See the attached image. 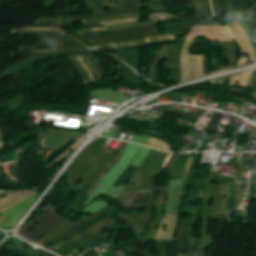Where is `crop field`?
Returning <instances> with one entry per match:
<instances>
[{
	"label": "crop field",
	"instance_id": "62",
	"mask_svg": "<svg viewBox=\"0 0 256 256\" xmlns=\"http://www.w3.org/2000/svg\"><path fill=\"white\" fill-rule=\"evenodd\" d=\"M117 5L125 4L124 0H116Z\"/></svg>",
	"mask_w": 256,
	"mask_h": 256
},
{
	"label": "crop field",
	"instance_id": "31",
	"mask_svg": "<svg viewBox=\"0 0 256 256\" xmlns=\"http://www.w3.org/2000/svg\"><path fill=\"white\" fill-rule=\"evenodd\" d=\"M166 256H177V245L174 240L165 243Z\"/></svg>",
	"mask_w": 256,
	"mask_h": 256
},
{
	"label": "crop field",
	"instance_id": "43",
	"mask_svg": "<svg viewBox=\"0 0 256 256\" xmlns=\"http://www.w3.org/2000/svg\"><path fill=\"white\" fill-rule=\"evenodd\" d=\"M91 59H93L96 67L99 69V71L101 72L102 76L106 75L105 70L103 69L101 63L98 61V59L95 57V55H90Z\"/></svg>",
	"mask_w": 256,
	"mask_h": 256
},
{
	"label": "crop field",
	"instance_id": "18",
	"mask_svg": "<svg viewBox=\"0 0 256 256\" xmlns=\"http://www.w3.org/2000/svg\"><path fill=\"white\" fill-rule=\"evenodd\" d=\"M160 109H168V110H172V111H175V112L184 113V114H188V115H192V116L199 117L198 115H193V114H189V113H186V112L177 111V110H174V109H172V108H167V105H157V106H153L150 110H152V111H157V112L169 113V114H172V115H178V116H180V117L187 118V119H191V120H195V121H197V119H198V118H193V117H189V116H186V115H181V114H177V113H172V112L163 111V110H160Z\"/></svg>",
	"mask_w": 256,
	"mask_h": 256
},
{
	"label": "crop field",
	"instance_id": "42",
	"mask_svg": "<svg viewBox=\"0 0 256 256\" xmlns=\"http://www.w3.org/2000/svg\"><path fill=\"white\" fill-rule=\"evenodd\" d=\"M137 20H138V18H136V19H129V20H114V21L102 22V24H104L106 26H110V25L120 24V23L135 22Z\"/></svg>",
	"mask_w": 256,
	"mask_h": 256
},
{
	"label": "crop field",
	"instance_id": "49",
	"mask_svg": "<svg viewBox=\"0 0 256 256\" xmlns=\"http://www.w3.org/2000/svg\"><path fill=\"white\" fill-rule=\"evenodd\" d=\"M108 27L98 28V29H89V30H79L80 33L92 32V31H109Z\"/></svg>",
	"mask_w": 256,
	"mask_h": 256
},
{
	"label": "crop field",
	"instance_id": "54",
	"mask_svg": "<svg viewBox=\"0 0 256 256\" xmlns=\"http://www.w3.org/2000/svg\"><path fill=\"white\" fill-rule=\"evenodd\" d=\"M191 158H192V154H190V156H189V160H188V163L186 165V172H185V176H184V180L183 181H186V179H187V171H188V168L190 166Z\"/></svg>",
	"mask_w": 256,
	"mask_h": 256
},
{
	"label": "crop field",
	"instance_id": "36",
	"mask_svg": "<svg viewBox=\"0 0 256 256\" xmlns=\"http://www.w3.org/2000/svg\"><path fill=\"white\" fill-rule=\"evenodd\" d=\"M151 4H163V3H162V1H155V2H149V3L143 4V5H124V6L112 7V8H109V9L111 11H114V10H119V9L143 7V6H147V5H151Z\"/></svg>",
	"mask_w": 256,
	"mask_h": 256
},
{
	"label": "crop field",
	"instance_id": "46",
	"mask_svg": "<svg viewBox=\"0 0 256 256\" xmlns=\"http://www.w3.org/2000/svg\"><path fill=\"white\" fill-rule=\"evenodd\" d=\"M155 58H156L155 50H154V48H151V62H150V67H149V72H148L147 78H148L149 75H150V71H151V68H152V65H153V62H154ZM155 61H156V60H155ZM154 63H155V62H154Z\"/></svg>",
	"mask_w": 256,
	"mask_h": 256
},
{
	"label": "crop field",
	"instance_id": "13",
	"mask_svg": "<svg viewBox=\"0 0 256 256\" xmlns=\"http://www.w3.org/2000/svg\"><path fill=\"white\" fill-rule=\"evenodd\" d=\"M140 12V8L137 9H127V10H119L94 16H78V17H72L73 21L76 20H82V19H95V18H101V17H107V16H115V15H124V14H131V13H137Z\"/></svg>",
	"mask_w": 256,
	"mask_h": 256
},
{
	"label": "crop field",
	"instance_id": "29",
	"mask_svg": "<svg viewBox=\"0 0 256 256\" xmlns=\"http://www.w3.org/2000/svg\"><path fill=\"white\" fill-rule=\"evenodd\" d=\"M100 211H101V210H100ZM100 211H98L97 213H95V214L92 215V216L87 217V218L84 219L83 221H81V222H79V223H77V224H75V225L69 227L68 229H66L65 231H63L62 233H60L59 235H57L56 237H54V238H52L51 240H49V241H47L46 243H44L42 246H44V247L47 246L48 244H50V243L53 242L54 240L60 238L61 236H63V235L66 234L67 232H69V231H71L72 229H74L76 226H78V225L84 223L85 221L89 220L90 218L96 216L97 214L102 213V212H100Z\"/></svg>",
	"mask_w": 256,
	"mask_h": 256
},
{
	"label": "crop field",
	"instance_id": "10",
	"mask_svg": "<svg viewBox=\"0 0 256 256\" xmlns=\"http://www.w3.org/2000/svg\"><path fill=\"white\" fill-rule=\"evenodd\" d=\"M173 37H171L169 34L166 35H160V36H155V37H149V38H145L143 40H139V41H135V42H125V43H119L120 46H132V45H137V44H141V43H148V42H153V41H157V40H164V39H171ZM113 47H119L118 44H107V45H100V46H91V49H107V48H113Z\"/></svg>",
	"mask_w": 256,
	"mask_h": 256
},
{
	"label": "crop field",
	"instance_id": "16",
	"mask_svg": "<svg viewBox=\"0 0 256 256\" xmlns=\"http://www.w3.org/2000/svg\"><path fill=\"white\" fill-rule=\"evenodd\" d=\"M66 219H64L62 216L60 218H58L56 221H54L53 223L49 224L48 226L44 227L43 229H41L39 232H37L35 235H33L32 237L28 238L32 241H37L38 239H40L42 236H44L46 233H48L49 231H51L53 228H55L56 226H58L59 224H61L62 222H64Z\"/></svg>",
	"mask_w": 256,
	"mask_h": 256
},
{
	"label": "crop field",
	"instance_id": "17",
	"mask_svg": "<svg viewBox=\"0 0 256 256\" xmlns=\"http://www.w3.org/2000/svg\"><path fill=\"white\" fill-rule=\"evenodd\" d=\"M136 170L137 167L129 165L126 171L120 175V177L116 180L113 186H119L121 182L127 185Z\"/></svg>",
	"mask_w": 256,
	"mask_h": 256
},
{
	"label": "crop field",
	"instance_id": "39",
	"mask_svg": "<svg viewBox=\"0 0 256 256\" xmlns=\"http://www.w3.org/2000/svg\"><path fill=\"white\" fill-rule=\"evenodd\" d=\"M16 31H61L59 28H20L14 29L12 32Z\"/></svg>",
	"mask_w": 256,
	"mask_h": 256
},
{
	"label": "crop field",
	"instance_id": "15",
	"mask_svg": "<svg viewBox=\"0 0 256 256\" xmlns=\"http://www.w3.org/2000/svg\"><path fill=\"white\" fill-rule=\"evenodd\" d=\"M150 192L151 191H147V192H138L135 199L133 200V202L131 203L130 207L128 208V210H133V209H144L149 196H150Z\"/></svg>",
	"mask_w": 256,
	"mask_h": 256
},
{
	"label": "crop field",
	"instance_id": "35",
	"mask_svg": "<svg viewBox=\"0 0 256 256\" xmlns=\"http://www.w3.org/2000/svg\"><path fill=\"white\" fill-rule=\"evenodd\" d=\"M83 138L81 139H78L76 140L60 157H58L54 162H52L46 169H50L52 166H54L59 160H61L63 157H65L67 154H69L73 148L82 140Z\"/></svg>",
	"mask_w": 256,
	"mask_h": 256
},
{
	"label": "crop field",
	"instance_id": "38",
	"mask_svg": "<svg viewBox=\"0 0 256 256\" xmlns=\"http://www.w3.org/2000/svg\"><path fill=\"white\" fill-rule=\"evenodd\" d=\"M76 59L79 62V64L82 66L84 71L87 73V75L89 76L91 81L94 82L95 78H94L93 74L91 73V71L89 70L88 66L86 65L85 61L83 60L82 56L76 57Z\"/></svg>",
	"mask_w": 256,
	"mask_h": 256
},
{
	"label": "crop field",
	"instance_id": "5",
	"mask_svg": "<svg viewBox=\"0 0 256 256\" xmlns=\"http://www.w3.org/2000/svg\"><path fill=\"white\" fill-rule=\"evenodd\" d=\"M122 219H125L128 225L135 232V237L140 239V234L142 230V225L148 217V210L144 213L138 214H123L119 213ZM144 226V225H143Z\"/></svg>",
	"mask_w": 256,
	"mask_h": 256
},
{
	"label": "crop field",
	"instance_id": "21",
	"mask_svg": "<svg viewBox=\"0 0 256 256\" xmlns=\"http://www.w3.org/2000/svg\"><path fill=\"white\" fill-rule=\"evenodd\" d=\"M217 46L223 47L224 54H237L239 49L234 41L216 42Z\"/></svg>",
	"mask_w": 256,
	"mask_h": 256
},
{
	"label": "crop field",
	"instance_id": "48",
	"mask_svg": "<svg viewBox=\"0 0 256 256\" xmlns=\"http://www.w3.org/2000/svg\"><path fill=\"white\" fill-rule=\"evenodd\" d=\"M242 17H243V19L245 20V22L247 23V25L249 26V28L251 29L254 38H256V31H255V29L253 28L252 24H251L250 21L247 19V17L245 16V14H244Z\"/></svg>",
	"mask_w": 256,
	"mask_h": 256
},
{
	"label": "crop field",
	"instance_id": "69",
	"mask_svg": "<svg viewBox=\"0 0 256 256\" xmlns=\"http://www.w3.org/2000/svg\"><path fill=\"white\" fill-rule=\"evenodd\" d=\"M136 3H138V0H135Z\"/></svg>",
	"mask_w": 256,
	"mask_h": 256
},
{
	"label": "crop field",
	"instance_id": "8",
	"mask_svg": "<svg viewBox=\"0 0 256 256\" xmlns=\"http://www.w3.org/2000/svg\"><path fill=\"white\" fill-rule=\"evenodd\" d=\"M35 191L26 193H11L0 199V214L17 205L27 197L34 194Z\"/></svg>",
	"mask_w": 256,
	"mask_h": 256
},
{
	"label": "crop field",
	"instance_id": "47",
	"mask_svg": "<svg viewBox=\"0 0 256 256\" xmlns=\"http://www.w3.org/2000/svg\"><path fill=\"white\" fill-rule=\"evenodd\" d=\"M59 23L54 24H34L33 26H26V27H58Z\"/></svg>",
	"mask_w": 256,
	"mask_h": 256
},
{
	"label": "crop field",
	"instance_id": "51",
	"mask_svg": "<svg viewBox=\"0 0 256 256\" xmlns=\"http://www.w3.org/2000/svg\"><path fill=\"white\" fill-rule=\"evenodd\" d=\"M177 156V154H173V156L171 157V159L169 160V162L167 163L165 169L167 170V175H169V169L175 159V157Z\"/></svg>",
	"mask_w": 256,
	"mask_h": 256
},
{
	"label": "crop field",
	"instance_id": "64",
	"mask_svg": "<svg viewBox=\"0 0 256 256\" xmlns=\"http://www.w3.org/2000/svg\"><path fill=\"white\" fill-rule=\"evenodd\" d=\"M101 5H102V8L106 7L105 0H101Z\"/></svg>",
	"mask_w": 256,
	"mask_h": 256
},
{
	"label": "crop field",
	"instance_id": "58",
	"mask_svg": "<svg viewBox=\"0 0 256 256\" xmlns=\"http://www.w3.org/2000/svg\"><path fill=\"white\" fill-rule=\"evenodd\" d=\"M243 1H244V5H245L246 10L249 9L250 7H252V5L250 3V0H243Z\"/></svg>",
	"mask_w": 256,
	"mask_h": 256
},
{
	"label": "crop field",
	"instance_id": "40",
	"mask_svg": "<svg viewBox=\"0 0 256 256\" xmlns=\"http://www.w3.org/2000/svg\"><path fill=\"white\" fill-rule=\"evenodd\" d=\"M22 35H65L63 32H23Z\"/></svg>",
	"mask_w": 256,
	"mask_h": 256
},
{
	"label": "crop field",
	"instance_id": "52",
	"mask_svg": "<svg viewBox=\"0 0 256 256\" xmlns=\"http://www.w3.org/2000/svg\"><path fill=\"white\" fill-rule=\"evenodd\" d=\"M189 247L193 246L192 227L188 228Z\"/></svg>",
	"mask_w": 256,
	"mask_h": 256
},
{
	"label": "crop field",
	"instance_id": "70",
	"mask_svg": "<svg viewBox=\"0 0 256 256\" xmlns=\"http://www.w3.org/2000/svg\"><path fill=\"white\" fill-rule=\"evenodd\" d=\"M254 74H256V70H255Z\"/></svg>",
	"mask_w": 256,
	"mask_h": 256
},
{
	"label": "crop field",
	"instance_id": "60",
	"mask_svg": "<svg viewBox=\"0 0 256 256\" xmlns=\"http://www.w3.org/2000/svg\"><path fill=\"white\" fill-rule=\"evenodd\" d=\"M111 3H112V6H113V5H116V4H115V0H111ZM106 4H107V7L111 6L110 0H106Z\"/></svg>",
	"mask_w": 256,
	"mask_h": 256
},
{
	"label": "crop field",
	"instance_id": "66",
	"mask_svg": "<svg viewBox=\"0 0 256 256\" xmlns=\"http://www.w3.org/2000/svg\"><path fill=\"white\" fill-rule=\"evenodd\" d=\"M252 12L254 13L255 17H256V10L254 8L251 9Z\"/></svg>",
	"mask_w": 256,
	"mask_h": 256
},
{
	"label": "crop field",
	"instance_id": "50",
	"mask_svg": "<svg viewBox=\"0 0 256 256\" xmlns=\"http://www.w3.org/2000/svg\"><path fill=\"white\" fill-rule=\"evenodd\" d=\"M218 193H219V200H220V203H221V202H224L225 199H224V194H223V185H219V187H218Z\"/></svg>",
	"mask_w": 256,
	"mask_h": 256
},
{
	"label": "crop field",
	"instance_id": "53",
	"mask_svg": "<svg viewBox=\"0 0 256 256\" xmlns=\"http://www.w3.org/2000/svg\"><path fill=\"white\" fill-rule=\"evenodd\" d=\"M169 14H150L149 18L169 17Z\"/></svg>",
	"mask_w": 256,
	"mask_h": 256
},
{
	"label": "crop field",
	"instance_id": "59",
	"mask_svg": "<svg viewBox=\"0 0 256 256\" xmlns=\"http://www.w3.org/2000/svg\"><path fill=\"white\" fill-rule=\"evenodd\" d=\"M251 87H256V75L253 76V78H252V81H251V84H250V88Z\"/></svg>",
	"mask_w": 256,
	"mask_h": 256
},
{
	"label": "crop field",
	"instance_id": "20",
	"mask_svg": "<svg viewBox=\"0 0 256 256\" xmlns=\"http://www.w3.org/2000/svg\"><path fill=\"white\" fill-rule=\"evenodd\" d=\"M128 145V143H126V145L124 146L123 150L121 151L119 157L117 158V160L97 179V181L93 184L91 190L88 192V194L86 195L84 201L75 209L76 211L79 209L80 206H82L84 204V202L88 199V197L91 195V193L93 192V190L96 188V186L100 183V181L104 178V176L109 172V170L114 166V164L120 159L124 149L126 148V146Z\"/></svg>",
	"mask_w": 256,
	"mask_h": 256
},
{
	"label": "crop field",
	"instance_id": "65",
	"mask_svg": "<svg viewBox=\"0 0 256 256\" xmlns=\"http://www.w3.org/2000/svg\"><path fill=\"white\" fill-rule=\"evenodd\" d=\"M126 3L129 4V3H134V0H126Z\"/></svg>",
	"mask_w": 256,
	"mask_h": 256
},
{
	"label": "crop field",
	"instance_id": "2",
	"mask_svg": "<svg viewBox=\"0 0 256 256\" xmlns=\"http://www.w3.org/2000/svg\"><path fill=\"white\" fill-rule=\"evenodd\" d=\"M183 38H179L178 46L172 45L169 51L170 81H181L179 53L183 46Z\"/></svg>",
	"mask_w": 256,
	"mask_h": 256
},
{
	"label": "crop field",
	"instance_id": "32",
	"mask_svg": "<svg viewBox=\"0 0 256 256\" xmlns=\"http://www.w3.org/2000/svg\"><path fill=\"white\" fill-rule=\"evenodd\" d=\"M141 13L138 14H131V15H124V16H116V17H108V18H102V19H96V20H88L87 23L92 22H101V21H107V20H113V19H128V18H136L140 17ZM85 22V21H84Z\"/></svg>",
	"mask_w": 256,
	"mask_h": 256
},
{
	"label": "crop field",
	"instance_id": "45",
	"mask_svg": "<svg viewBox=\"0 0 256 256\" xmlns=\"http://www.w3.org/2000/svg\"><path fill=\"white\" fill-rule=\"evenodd\" d=\"M248 19L251 21V23L253 24L254 28L256 29V18L254 17V15L252 14L251 10L245 12Z\"/></svg>",
	"mask_w": 256,
	"mask_h": 256
},
{
	"label": "crop field",
	"instance_id": "4",
	"mask_svg": "<svg viewBox=\"0 0 256 256\" xmlns=\"http://www.w3.org/2000/svg\"><path fill=\"white\" fill-rule=\"evenodd\" d=\"M110 223H112V221L110 220L109 217H107V218L103 219L102 221H100L99 223L91 226L90 228H88L87 230H85L84 232H82L81 234L76 236L75 238H73L71 241L74 244L79 246V245L83 244L84 242H86L87 240H89L90 238H92L93 236L100 233L101 231L105 230L104 227H106Z\"/></svg>",
	"mask_w": 256,
	"mask_h": 256
},
{
	"label": "crop field",
	"instance_id": "30",
	"mask_svg": "<svg viewBox=\"0 0 256 256\" xmlns=\"http://www.w3.org/2000/svg\"><path fill=\"white\" fill-rule=\"evenodd\" d=\"M160 21H164V19L160 18V19L149 20V22L145 24L160 22ZM141 25H144V24H140V23L120 24V25L110 26L109 28H111L112 30H117V29L130 28V27L141 26Z\"/></svg>",
	"mask_w": 256,
	"mask_h": 256
},
{
	"label": "crop field",
	"instance_id": "26",
	"mask_svg": "<svg viewBox=\"0 0 256 256\" xmlns=\"http://www.w3.org/2000/svg\"><path fill=\"white\" fill-rule=\"evenodd\" d=\"M145 146L172 152V150L167 146V144L164 141H161L158 139L149 138V140L146 142Z\"/></svg>",
	"mask_w": 256,
	"mask_h": 256
},
{
	"label": "crop field",
	"instance_id": "12",
	"mask_svg": "<svg viewBox=\"0 0 256 256\" xmlns=\"http://www.w3.org/2000/svg\"><path fill=\"white\" fill-rule=\"evenodd\" d=\"M63 205H65V204H63ZM63 205H57V206L49 209L48 211L44 212L43 214L39 215L38 217L32 219L31 221H29L27 224H25L24 226H22L19 229L18 234H20V235L24 234L26 231H28L30 228H32L36 223H38V222L44 220L45 218L49 217L51 214L56 212L59 207H61Z\"/></svg>",
	"mask_w": 256,
	"mask_h": 256
},
{
	"label": "crop field",
	"instance_id": "68",
	"mask_svg": "<svg viewBox=\"0 0 256 256\" xmlns=\"http://www.w3.org/2000/svg\"><path fill=\"white\" fill-rule=\"evenodd\" d=\"M171 1H188V0H171Z\"/></svg>",
	"mask_w": 256,
	"mask_h": 256
},
{
	"label": "crop field",
	"instance_id": "37",
	"mask_svg": "<svg viewBox=\"0 0 256 256\" xmlns=\"http://www.w3.org/2000/svg\"><path fill=\"white\" fill-rule=\"evenodd\" d=\"M208 170L209 169L204 170L203 165H199V177L196 185L204 184L206 182Z\"/></svg>",
	"mask_w": 256,
	"mask_h": 256
},
{
	"label": "crop field",
	"instance_id": "9",
	"mask_svg": "<svg viewBox=\"0 0 256 256\" xmlns=\"http://www.w3.org/2000/svg\"><path fill=\"white\" fill-rule=\"evenodd\" d=\"M190 40H187L182 48L181 54H180V61H181V79L182 81L190 79L191 74V66L190 61L188 57L190 45Z\"/></svg>",
	"mask_w": 256,
	"mask_h": 256
},
{
	"label": "crop field",
	"instance_id": "27",
	"mask_svg": "<svg viewBox=\"0 0 256 256\" xmlns=\"http://www.w3.org/2000/svg\"><path fill=\"white\" fill-rule=\"evenodd\" d=\"M195 198L204 199V187L196 189L194 194H193L192 204L190 206L189 221H194L195 208L192 207V205H193V202H194Z\"/></svg>",
	"mask_w": 256,
	"mask_h": 256
},
{
	"label": "crop field",
	"instance_id": "7",
	"mask_svg": "<svg viewBox=\"0 0 256 256\" xmlns=\"http://www.w3.org/2000/svg\"><path fill=\"white\" fill-rule=\"evenodd\" d=\"M160 191H161V187L155 189L151 195L150 205H149V208H150L149 218L147 220V223L143 227L142 236H141V238H143V239H148L149 228L151 227V225L153 224V222L156 218L157 201H158V198L160 195Z\"/></svg>",
	"mask_w": 256,
	"mask_h": 256
},
{
	"label": "crop field",
	"instance_id": "71",
	"mask_svg": "<svg viewBox=\"0 0 256 256\" xmlns=\"http://www.w3.org/2000/svg\"><path fill=\"white\" fill-rule=\"evenodd\" d=\"M254 8L256 9V6Z\"/></svg>",
	"mask_w": 256,
	"mask_h": 256
},
{
	"label": "crop field",
	"instance_id": "63",
	"mask_svg": "<svg viewBox=\"0 0 256 256\" xmlns=\"http://www.w3.org/2000/svg\"><path fill=\"white\" fill-rule=\"evenodd\" d=\"M187 14H193V13L182 12V13H178V14H177V15H175V16H178V15H187Z\"/></svg>",
	"mask_w": 256,
	"mask_h": 256
},
{
	"label": "crop field",
	"instance_id": "25",
	"mask_svg": "<svg viewBox=\"0 0 256 256\" xmlns=\"http://www.w3.org/2000/svg\"><path fill=\"white\" fill-rule=\"evenodd\" d=\"M194 15L179 16L178 18L186 17H204L200 0H190Z\"/></svg>",
	"mask_w": 256,
	"mask_h": 256
},
{
	"label": "crop field",
	"instance_id": "67",
	"mask_svg": "<svg viewBox=\"0 0 256 256\" xmlns=\"http://www.w3.org/2000/svg\"><path fill=\"white\" fill-rule=\"evenodd\" d=\"M251 2H252V5L256 4V0H251Z\"/></svg>",
	"mask_w": 256,
	"mask_h": 256
},
{
	"label": "crop field",
	"instance_id": "55",
	"mask_svg": "<svg viewBox=\"0 0 256 256\" xmlns=\"http://www.w3.org/2000/svg\"><path fill=\"white\" fill-rule=\"evenodd\" d=\"M102 25L98 23L86 24L84 28H94V27H101Z\"/></svg>",
	"mask_w": 256,
	"mask_h": 256
},
{
	"label": "crop field",
	"instance_id": "44",
	"mask_svg": "<svg viewBox=\"0 0 256 256\" xmlns=\"http://www.w3.org/2000/svg\"><path fill=\"white\" fill-rule=\"evenodd\" d=\"M167 192H168V188H167V186H164V187L162 188V192H161L159 204H160V203H164V201H165V199H166V197H167Z\"/></svg>",
	"mask_w": 256,
	"mask_h": 256
},
{
	"label": "crop field",
	"instance_id": "23",
	"mask_svg": "<svg viewBox=\"0 0 256 256\" xmlns=\"http://www.w3.org/2000/svg\"><path fill=\"white\" fill-rule=\"evenodd\" d=\"M29 206H27L26 208L17 212L16 214L12 215L11 217L5 219L2 223H0V227H11V226H13L16 223V221L22 216V214L29 208Z\"/></svg>",
	"mask_w": 256,
	"mask_h": 256
},
{
	"label": "crop field",
	"instance_id": "33",
	"mask_svg": "<svg viewBox=\"0 0 256 256\" xmlns=\"http://www.w3.org/2000/svg\"><path fill=\"white\" fill-rule=\"evenodd\" d=\"M70 60L73 63V65L75 66V68L77 69V71L79 72V74L81 75L82 81H83L84 85L90 83L88 76L83 71L81 66L78 64V62L76 61L75 57H71Z\"/></svg>",
	"mask_w": 256,
	"mask_h": 256
},
{
	"label": "crop field",
	"instance_id": "41",
	"mask_svg": "<svg viewBox=\"0 0 256 256\" xmlns=\"http://www.w3.org/2000/svg\"><path fill=\"white\" fill-rule=\"evenodd\" d=\"M205 17H211L209 0H201Z\"/></svg>",
	"mask_w": 256,
	"mask_h": 256
},
{
	"label": "crop field",
	"instance_id": "14",
	"mask_svg": "<svg viewBox=\"0 0 256 256\" xmlns=\"http://www.w3.org/2000/svg\"><path fill=\"white\" fill-rule=\"evenodd\" d=\"M192 79L203 75L204 56H190Z\"/></svg>",
	"mask_w": 256,
	"mask_h": 256
},
{
	"label": "crop field",
	"instance_id": "34",
	"mask_svg": "<svg viewBox=\"0 0 256 256\" xmlns=\"http://www.w3.org/2000/svg\"><path fill=\"white\" fill-rule=\"evenodd\" d=\"M105 217H107V215L104 214V213H102V214H100V215L94 217L93 219L87 221L86 223H84V224L78 226L77 228L82 231V230L86 229L87 227H89V226H91V225H93V224L99 222L100 220H102V219L105 218Z\"/></svg>",
	"mask_w": 256,
	"mask_h": 256
},
{
	"label": "crop field",
	"instance_id": "11",
	"mask_svg": "<svg viewBox=\"0 0 256 256\" xmlns=\"http://www.w3.org/2000/svg\"><path fill=\"white\" fill-rule=\"evenodd\" d=\"M189 154H179L177 159L175 160L171 173L170 179H179L184 176V168L188 159Z\"/></svg>",
	"mask_w": 256,
	"mask_h": 256
},
{
	"label": "crop field",
	"instance_id": "3",
	"mask_svg": "<svg viewBox=\"0 0 256 256\" xmlns=\"http://www.w3.org/2000/svg\"><path fill=\"white\" fill-rule=\"evenodd\" d=\"M179 215L175 214H165L156 233L155 239H160V240H169L173 239L177 220H178ZM167 225L165 233L162 231V226Z\"/></svg>",
	"mask_w": 256,
	"mask_h": 256
},
{
	"label": "crop field",
	"instance_id": "56",
	"mask_svg": "<svg viewBox=\"0 0 256 256\" xmlns=\"http://www.w3.org/2000/svg\"><path fill=\"white\" fill-rule=\"evenodd\" d=\"M206 249L198 248L197 255L198 256H205Z\"/></svg>",
	"mask_w": 256,
	"mask_h": 256
},
{
	"label": "crop field",
	"instance_id": "24",
	"mask_svg": "<svg viewBox=\"0 0 256 256\" xmlns=\"http://www.w3.org/2000/svg\"><path fill=\"white\" fill-rule=\"evenodd\" d=\"M223 113L214 112L212 118L210 119L209 123L207 124L206 128L204 129V132L211 131L214 132Z\"/></svg>",
	"mask_w": 256,
	"mask_h": 256
},
{
	"label": "crop field",
	"instance_id": "61",
	"mask_svg": "<svg viewBox=\"0 0 256 256\" xmlns=\"http://www.w3.org/2000/svg\"><path fill=\"white\" fill-rule=\"evenodd\" d=\"M92 10L97 9L95 1H91Z\"/></svg>",
	"mask_w": 256,
	"mask_h": 256
},
{
	"label": "crop field",
	"instance_id": "6",
	"mask_svg": "<svg viewBox=\"0 0 256 256\" xmlns=\"http://www.w3.org/2000/svg\"><path fill=\"white\" fill-rule=\"evenodd\" d=\"M45 49V51H41ZM51 48H27L29 54H40V55H52V54H81L87 52H95L91 51L86 47H78V48H55V51H49Z\"/></svg>",
	"mask_w": 256,
	"mask_h": 256
},
{
	"label": "crop field",
	"instance_id": "28",
	"mask_svg": "<svg viewBox=\"0 0 256 256\" xmlns=\"http://www.w3.org/2000/svg\"><path fill=\"white\" fill-rule=\"evenodd\" d=\"M135 194H136V192L122 194L121 197L119 198V200L117 199L118 200L117 202L123 208H125L127 210V208L129 207L130 203L132 202Z\"/></svg>",
	"mask_w": 256,
	"mask_h": 256
},
{
	"label": "crop field",
	"instance_id": "1",
	"mask_svg": "<svg viewBox=\"0 0 256 256\" xmlns=\"http://www.w3.org/2000/svg\"><path fill=\"white\" fill-rule=\"evenodd\" d=\"M227 26L231 30L241 51L256 59L254 50H253V46L249 40V37L246 34L245 30L242 28V26L238 23V21L236 20V21L228 24Z\"/></svg>",
	"mask_w": 256,
	"mask_h": 256
},
{
	"label": "crop field",
	"instance_id": "22",
	"mask_svg": "<svg viewBox=\"0 0 256 256\" xmlns=\"http://www.w3.org/2000/svg\"><path fill=\"white\" fill-rule=\"evenodd\" d=\"M59 216L58 213H55L53 215H51L49 218L45 219L44 221H42L39 225H35V231H28L26 232L23 236L25 237H30L32 236L33 234H35L37 231H39L41 228H43L44 226L48 225L49 223L53 222L55 219H57Z\"/></svg>",
	"mask_w": 256,
	"mask_h": 256
},
{
	"label": "crop field",
	"instance_id": "19",
	"mask_svg": "<svg viewBox=\"0 0 256 256\" xmlns=\"http://www.w3.org/2000/svg\"><path fill=\"white\" fill-rule=\"evenodd\" d=\"M38 192L35 193L33 196H31L29 199H27L26 201L20 203L19 205L13 207L12 209H10L9 211L5 212L4 214H2L4 217H9L12 214L16 213L17 211L21 210L22 208L26 207L27 205H29L30 203L34 202L35 198L37 197Z\"/></svg>",
	"mask_w": 256,
	"mask_h": 256
},
{
	"label": "crop field",
	"instance_id": "72",
	"mask_svg": "<svg viewBox=\"0 0 256 256\" xmlns=\"http://www.w3.org/2000/svg\"><path fill=\"white\" fill-rule=\"evenodd\" d=\"M153 1V0H152Z\"/></svg>",
	"mask_w": 256,
	"mask_h": 256
},
{
	"label": "crop field",
	"instance_id": "57",
	"mask_svg": "<svg viewBox=\"0 0 256 256\" xmlns=\"http://www.w3.org/2000/svg\"><path fill=\"white\" fill-rule=\"evenodd\" d=\"M149 12L150 13H167L166 9L149 10Z\"/></svg>",
	"mask_w": 256,
	"mask_h": 256
}]
</instances>
